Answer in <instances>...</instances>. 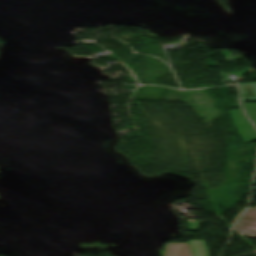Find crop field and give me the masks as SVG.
<instances>
[{
	"label": "crop field",
	"mask_w": 256,
	"mask_h": 256,
	"mask_svg": "<svg viewBox=\"0 0 256 256\" xmlns=\"http://www.w3.org/2000/svg\"><path fill=\"white\" fill-rule=\"evenodd\" d=\"M191 250H189L188 243L183 244H168L164 256H208L205 241H189Z\"/></svg>",
	"instance_id": "crop-field-1"
}]
</instances>
